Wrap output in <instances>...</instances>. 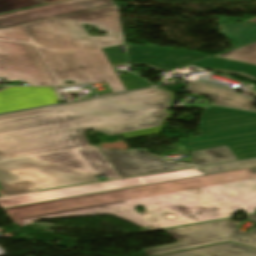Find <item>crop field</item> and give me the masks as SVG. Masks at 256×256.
Instances as JSON below:
<instances>
[{"mask_svg":"<svg viewBox=\"0 0 256 256\" xmlns=\"http://www.w3.org/2000/svg\"><path fill=\"white\" fill-rule=\"evenodd\" d=\"M137 206L145 211L137 213ZM239 210L247 214L256 210V167L5 211L20 227L39 219L111 214L158 229L228 218Z\"/></svg>","mask_w":256,"mask_h":256,"instance_id":"crop-field-1","label":"crop field"},{"mask_svg":"<svg viewBox=\"0 0 256 256\" xmlns=\"http://www.w3.org/2000/svg\"><path fill=\"white\" fill-rule=\"evenodd\" d=\"M170 91L158 88L98 98L97 106L0 122V157H24L74 148L96 176L121 178L84 132L121 133L126 139L160 133L171 118Z\"/></svg>","mask_w":256,"mask_h":256,"instance_id":"crop-field-2","label":"crop field"},{"mask_svg":"<svg viewBox=\"0 0 256 256\" xmlns=\"http://www.w3.org/2000/svg\"><path fill=\"white\" fill-rule=\"evenodd\" d=\"M82 24L108 36L89 37ZM58 85L107 82L112 92L125 90L101 48L124 44L117 5L24 25Z\"/></svg>","mask_w":256,"mask_h":256,"instance_id":"crop-field-3","label":"crop field"},{"mask_svg":"<svg viewBox=\"0 0 256 256\" xmlns=\"http://www.w3.org/2000/svg\"><path fill=\"white\" fill-rule=\"evenodd\" d=\"M96 181L74 149L0 161V196Z\"/></svg>","mask_w":256,"mask_h":256,"instance_id":"crop-field-4","label":"crop field"},{"mask_svg":"<svg viewBox=\"0 0 256 256\" xmlns=\"http://www.w3.org/2000/svg\"><path fill=\"white\" fill-rule=\"evenodd\" d=\"M177 243L143 250L146 256H155L226 241L256 248V228L249 233L238 230L237 224L229 220L164 230Z\"/></svg>","mask_w":256,"mask_h":256,"instance_id":"crop-field-5","label":"crop field"},{"mask_svg":"<svg viewBox=\"0 0 256 256\" xmlns=\"http://www.w3.org/2000/svg\"><path fill=\"white\" fill-rule=\"evenodd\" d=\"M0 77L28 85H57L34 44L0 39ZM8 87L0 86V90Z\"/></svg>","mask_w":256,"mask_h":256,"instance_id":"crop-field-6","label":"crop field"},{"mask_svg":"<svg viewBox=\"0 0 256 256\" xmlns=\"http://www.w3.org/2000/svg\"><path fill=\"white\" fill-rule=\"evenodd\" d=\"M122 178L191 168L194 166L183 163H171L157 155L150 154L146 149L105 150L97 146Z\"/></svg>","mask_w":256,"mask_h":256,"instance_id":"crop-field-7","label":"crop field"},{"mask_svg":"<svg viewBox=\"0 0 256 256\" xmlns=\"http://www.w3.org/2000/svg\"><path fill=\"white\" fill-rule=\"evenodd\" d=\"M144 185L143 182L140 180L139 177L124 179L119 181L113 182H105V183H98V184H91L85 186H78V187H71V188H64L58 190H51L45 192H38V193H31L25 195H18L12 197H5L0 198V207H10L16 205H23L71 196H78V195H85L91 193H98V192H105V191H112L136 186Z\"/></svg>","mask_w":256,"mask_h":256,"instance_id":"crop-field-8","label":"crop field"},{"mask_svg":"<svg viewBox=\"0 0 256 256\" xmlns=\"http://www.w3.org/2000/svg\"><path fill=\"white\" fill-rule=\"evenodd\" d=\"M112 0H69L0 15V28L25 24L59 15L113 5Z\"/></svg>","mask_w":256,"mask_h":256,"instance_id":"crop-field-9","label":"crop field"},{"mask_svg":"<svg viewBox=\"0 0 256 256\" xmlns=\"http://www.w3.org/2000/svg\"><path fill=\"white\" fill-rule=\"evenodd\" d=\"M130 63L145 64L158 70L177 67L209 56L187 51L127 46Z\"/></svg>","mask_w":256,"mask_h":256,"instance_id":"crop-field-10","label":"crop field"},{"mask_svg":"<svg viewBox=\"0 0 256 256\" xmlns=\"http://www.w3.org/2000/svg\"><path fill=\"white\" fill-rule=\"evenodd\" d=\"M59 101L53 88L11 87L0 91V112L54 104Z\"/></svg>","mask_w":256,"mask_h":256,"instance_id":"crop-field-11","label":"crop field"},{"mask_svg":"<svg viewBox=\"0 0 256 256\" xmlns=\"http://www.w3.org/2000/svg\"><path fill=\"white\" fill-rule=\"evenodd\" d=\"M186 91L194 95L211 97V104L214 105L256 111V108L252 106V102L248 98L207 85L188 83Z\"/></svg>","mask_w":256,"mask_h":256,"instance_id":"crop-field-12","label":"crop field"},{"mask_svg":"<svg viewBox=\"0 0 256 256\" xmlns=\"http://www.w3.org/2000/svg\"><path fill=\"white\" fill-rule=\"evenodd\" d=\"M166 256H256V250L227 243Z\"/></svg>","mask_w":256,"mask_h":256,"instance_id":"crop-field-13","label":"crop field"},{"mask_svg":"<svg viewBox=\"0 0 256 256\" xmlns=\"http://www.w3.org/2000/svg\"><path fill=\"white\" fill-rule=\"evenodd\" d=\"M191 158L197 166L237 160L227 146L194 151L191 152Z\"/></svg>","mask_w":256,"mask_h":256,"instance_id":"crop-field-14","label":"crop field"},{"mask_svg":"<svg viewBox=\"0 0 256 256\" xmlns=\"http://www.w3.org/2000/svg\"><path fill=\"white\" fill-rule=\"evenodd\" d=\"M93 105H96L95 100H88V101H84V102L66 104V105L56 106V107L38 108V109L30 110V111L0 115V121L36 116V115H41V114L53 113V112L82 108V107H88V106H93ZM0 160H2V158H0Z\"/></svg>","mask_w":256,"mask_h":256,"instance_id":"crop-field-15","label":"crop field"},{"mask_svg":"<svg viewBox=\"0 0 256 256\" xmlns=\"http://www.w3.org/2000/svg\"><path fill=\"white\" fill-rule=\"evenodd\" d=\"M219 32L241 46L256 41V24L254 23L244 22Z\"/></svg>","mask_w":256,"mask_h":256,"instance_id":"crop-field-16","label":"crop field"},{"mask_svg":"<svg viewBox=\"0 0 256 256\" xmlns=\"http://www.w3.org/2000/svg\"><path fill=\"white\" fill-rule=\"evenodd\" d=\"M204 175L196 169L140 177L145 185Z\"/></svg>","mask_w":256,"mask_h":256,"instance_id":"crop-field-17","label":"crop field"},{"mask_svg":"<svg viewBox=\"0 0 256 256\" xmlns=\"http://www.w3.org/2000/svg\"><path fill=\"white\" fill-rule=\"evenodd\" d=\"M216 57H222L256 65V42Z\"/></svg>","mask_w":256,"mask_h":256,"instance_id":"crop-field-18","label":"crop field"},{"mask_svg":"<svg viewBox=\"0 0 256 256\" xmlns=\"http://www.w3.org/2000/svg\"><path fill=\"white\" fill-rule=\"evenodd\" d=\"M0 38L32 43L23 25L0 29Z\"/></svg>","mask_w":256,"mask_h":256,"instance_id":"crop-field-19","label":"crop field"},{"mask_svg":"<svg viewBox=\"0 0 256 256\" xmlns=\"http://www.w3.org/2000/svg\"><path fill=\"white\" fill-rule=\"evenodd\" d=\"M44 4L40 0H0V13Z\"/></svg>","mask_w":256,"mask_h":256,"instance_id":"crop-field-20","label":"crop field"},{"mask_svg":"<svg viewBox=\"0 0 256 256\" xmlns=\"http://www.w3.org/2000/svg\"><path fill=\"white\" fill-rule=\"evenodd\" d=\"M120 77L124 82L125 86L128 88V90L149 86L147 81L143 80L140 77H136L132 74L120 75Z\"/></svg>","mask_w":256,"mask_h":256,"instance_id":"crop-field-21","label":"crop field"},{"mask_svg":"<svg viewBox=\"0 0 256 256\" xmlns=\"http://www.w3.org/2000/svg\"><path fill=\"white\" fill-rule=\"evenodd\" d=\"M239 168H241V166L238 164V162H235L227 165L201 168L198 170L204 174H212V173L225 172V171H230V170L239 169Z\"/></svg>","mask_w":256,"mask_h":256,"instance_id":"crop-field-22","label":"crop field"},{"mask_svg":"<svg viewBox=\"0 0 256 256\" xmlns=\"http://www.w3.org/2000/svg\"><path fill=\"white\" fill-rule=\"evenodd\" d=\"M104 51L108 54V56H109L113 65L127 63L126 55H125V53H121L119 47L112 48V49H107V50H104Z\"/></svg>","mask_w":256,"mask_h":256,"instance_id":"crop-field-23","label":"crop field"},{"mask_svg":"<svg viewBox=\"0 0 256 256\" xmlns=\"http://www.w3.org/2000/svg\"><path fill=\"white\" fill-rule=\"evenodd\" d=\"M239 164L242 166V168L253 167V166H256V159L241 161V162H239Z\"/></svg>","mask_w":256,"mask_h":256,"instance_id":"crop-field-24","label":"crop field"},{"mask_svg":"<svg viewBox=\"0 0 256 256\" xmlns=\"http://www.w3.org/2000/svg\"><path fill=\"white\" fill-rule=\"evenodd\" d=\"M47 4H50V3H55V2H59V1H64V0H41Z\"/></svg>","mask_w":256,"mask_h":256,"instance_id":"crop-field-25","label":"crop field"},{"mask_svg":"<svg viewBox=\"0 0 256 256\" xmlns=\"http://www.w3.org/2000/svg\"><path fill=\"white\" fill-rule=\"evenodd\" d=\"M248 220L256 223V214L255 215H252V216H249V217H246ZM256 226V225H255Z\"/></svg>","mask_w":256,"mask_h":256,"instance_id":"crop-field-26","label":"crop field"},{"mask_svg":"<svg viewBox=\"0 0 256 256\" xmlns=\"http://www.w3.org/2000/svg\"><path fill=\"white\" fill-rule=\"evenodd\" d=\"M249 21H254V22H256V18H254V19H252V20H249Z\"/></svg>","mask_w":256,"mask_h":256,"instance_id":"crop-field-27","label":"crop field"}]
</instances>
